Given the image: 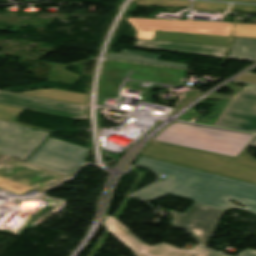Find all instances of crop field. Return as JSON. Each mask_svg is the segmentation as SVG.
<instances>
[{"label":"crop field","mask_w":256,"mask_h":256,"mask_svg":"<svg viewBox=\"0 0 256 256\" xmlns=\"http://www.w3.org/2000/svg\"><path fill=\"white\" fill-rule=\"evenodd\" d=\"M137 39L153 40L156 30L229 36L232 23L127 18Z\"/></svg>","instance_id":"obj_7"},{"label":"crop field","mask_w":256,"mask_h":256,"mask_svg":"<svg viewBox=\"0 0 256 256\" xmlns=\"http://www.w3.org/2000/svg\"><path fill=\"white\" fill-rule=\"evenodd\" d=\"M249 145L256 146V139L253 142H251Z\"/></svg>","instance_id":"obj_25"},{"label":"crop field","mask_w":256,"mask_h":256,"mask_svg":"<svg viewBox=\"0 0 256 256\" xmlns=\"http://www.w3.org/2000/svg\"><path fill=\"white\" fill-rule=\"evenodd\" d=\"M190 1L177 0H137L131 4H146V5H172V6H189Z\"/></svg>","instance_id":"obj_19"},{"label":"crop field","mask_w":256,"mask_h":256,"mask_svg":"<svg viewBox=\"0 0 256 256\" xmlns=\"http://www.w3.org/2000/svg\"><path fill=\"white\" fill-rule=\"evenodd\" d=\"M49 135L48 132L0 120V153L25 160Z\"/></svg>","instance_id":"obj_9"},{"label":"crop field","mask_w":256,"mask_h":256,"mask_svg":"<svg viewBox=\"0 0 256 256\" xmlns=\"http://www.w3.org/2000/svg\"><path fill=\"white\" fill-rule=\"evenodd\" d=\"M62 65H54L48 81L72 84L79 76L63 69Z\"/></svg>","instance_id":"obj_17"},{"label":"crop field","mask_w":256,"mask_h":256,"mask_svg":"<svg viewBox=\"0 0 256 256\" xmlns=\"http://www.w3.org/2000/svg\"><path fill=\"white\" fill-rule=\"evenodd\" d=\"M226 86L234 90L232 95L213 93L207 97L230 100L214 125L256 132V86L248 85L246 88H238L230 84Z\"/></svg>","instance_id":"obj_5"},{"label":"crop field","mask_w":256,"mask_h":256,"mask_svg":"<svg viewBox=\"0 0 256 256\" xmlns=\"http://www.w3.org/2000/svg\"><path fill=\"white\" fill-rule=\"evenodd\" d=\"M87 154L86 148L50 137L26 162L72 176Z\"/></svg>","instance_id":"obj_6"},{"label":"crop field","mask_w":256,"mask_h":256,"mask_svg":"<svg viewBox=\"0 0 256 256\" xmlns=\"http://www.w3.org/2000/svg\"><path fill=\"white\" fill-rule=\"evenodd\" d=\"M24 94L34 95L39 97L51 98L78 104H87L88 95L56 90V89H39L34 91L23 92Z\"/></svg>","instance_id":"obj_16"},{"label":"crop field","mask_w":256,"mask_h":256,"mask_svg":"<svg viewBox=\"0 0 256 256\" xmlns=\"http://www.w3.org/2000/svg\"><path fill=\"white\" fill-rule=\"evenodd\" d=\"M103 226L132 249L136 256H225L199 246L191 250H181L165 243L151 247L110 216H107Z\"/></svg>","instance_id":"obj_8"},{"label":"crop field","mask_w":256,"mask_h":256,"mask_svg":"<svg viewBox=\"0 0 256 256\" xmlns=\"http://www.w3.org/2000/svg\"><path fill=\"white\" fill-rule=\"evenodd\" d=\"M236 80L256 84V74L247 73Z\"/></svg>","instance_id":"obj_22"},{"label":"crop field","mask_w":256,"mask_h":256,"mask_svg":"<svg viewBox=\"0 0 256 256\" xmlns=\"http://www.w3.org/2000/svg\"><path fill=\"white\" fill-rule=\"evenodd\" d=\"M107 58L114 59V60H122V61H131V62H139V63H148V64H156V65H164V66H172V67H181L187 68L188 65L167 62V61H158L161 56L147 54V53H140L128 50H121L119 55L115 54H107Z\"/></svg>","instance_id":"obj_14"},{"label":"crop field","mask_w":256,"mask_h":256,"mask_svg":"<svg viewBox=\"0 0 256 256\" xmlns=\"http://www.w3.org/2000/svg\"><path fill=\"white\" fill-rule=\"evenodd\" d=\"M136 164L149 167L160 174L167 175L156 185L136 195L148 201L172 194L193 199L220 210L238 208L256 213V186L207 174L204 172L148 159L140 158ZM236 200L247 208L232 205L228 200Z\"/></svg>","instance_id":"obj_1"},{"label":"crop field","mask_w":256,"mask_h":256,"mask_svg":"<svg viewBox=\"0 0 256 256\" xmlns=\"http://www.w3.org/2000/svg\"><path fill=\"white\" fill-rule=\"evenodd\" d=\"M136 47L160 49L167 51L191 53L205 56H213L223 58L227 47L223 46H212V45H202V44H191V43H180V42H170V41H144L138 40L134 44Z\"/></svg>","instance_id":"obj_12"},{"label":"crop field","mask_w":256,"mask_h":256,"mask_svg":"<svg viewBox=\"0 0 256 256\" xmlns=\"http://www.w3.org/2000/svg\"><path fill=\"white\" fill-rule=\"evenodd\" d=\"M140 155L256 183V162L151 140Z\"/></svg>","instance_id":"obj_2"},{"label":"crop field","mask_w":256,"mask_h":256,"mask_svg":"<svg viewBox=\"0 0 256 256\" xmlns=\"http://www.w3.org/2000/svg\"><path fill=\"white\" fill-rule=\"evenodd\" d=\"M231 11L256 13V6L232 5Z\"/></svg>","instance_id":"obj_21"},{"label":"crop field","mask_w":256,"mask_h":256,"mask_svg":"<svg viewBox=\"0 0 256 256\" xmlns=\"http://www.w3.org/2000/svg\"><path fill=\"white\" fill-rule=\"evenodd\" d=\"M0 103L66 117L88 119L87 106L33 97L20 93L0 91Z\"/></svg>","instance_id":"obj_11"},{"label":"crop field","mask_w":256,"mask_h":256,"mask_svg":"<svg viewBox=\"0 0 256 256\" xmlns=\"http://www.w3.org/2000/svg\"><path fill=\"white\" fill-rule=\"evenodd\" d=\"M67 179L69 178L11 158L0 164V188L19 195L31 188L44 192Z\"/></svg>","instance_id":"obj_4"},{"label":"crop field","mask_w":256,"mask_h":256,"mask_svg":"<svg viewBox=\"0 0 256 256\" xmlns=\"http://www.w3.org/2000/svg\"><path fill=\"white\" fill-rule=\"evenodd\" d=\"M154 39L212 44V45H223V46H228L230 41L229 37H223V36H210V35H198V34L162 32V31H157Z\"/></svg>","instance_id":"obj_13"},{"label":"crop field","mask_w":256,"mask_h":256,"mask_svg":"<svg viewBox=\"0 0 256 256\" xmlns=\"http://www.w3.org/2000/svg\"><path fill=\"white\" fill-rule=\"evenodd\" d=\"M232 36L256 38V24L236 23Z\"/></svg>","instance_id":"obj_18"},{"label":"crop field","mask_w":256,"mask_h":256,"mask_svg":"<svg viewBox=\"0 0 256 256\" xmlns=\"http://www.w3.org/2000/svg\"><path fill=\"white\" fill-rule=\"evenodd\" d=\"M7 159H8V157H4V156H1V155H0V163L3 162V161H5V160H7Z\"/></svg>","instance_id":"obj_24"},{"label":"crop field","mask_w":256,"mask_h":256,"mask_svg":"<svg viewBox=\"0 0 256 256\" xmlns=\"http://www.w3.org/2000/svg\"><path fill=\"white\" fill-rule=\"evenodd\" d=\"M22 110V108L0 104V119L12 122Z\"/></svg>","instance_id":"obj_20"},{"label":"crop field","mask_w":256,"mask_h":256,"mask_svg":"<svg viewBox=\"0 0 256 256\" xmlns=\"http://www.w3.org/2000/svg\"><path fill=\"white\" fill-rule=\"evenodd\" d=\"M239 256H256V251L251 249H246Z\"/></svg>","instance_id":"obj_23"},{"label":"crop field","mask_w":256,"mask_h":256,"mask_svg":"<svg viewBox=\"0 0 256 256\" xmlns=\"http://www.w3.org/2000/svg\"><path fill=\"white\" fill-rule=\"evenodd\" d=\"M253 138L254 135L174 122L153 139L236 157Z\"/></svg>","instance_id":"obj_3"},{"label":"crop field","mask_w":256,"mask_h":256,"mask_svg":"<svg viewBox=\"0 0 256 256\" xmlns=\"http://www.w3.org/2000/svg\"><path fill=\"white\" fill-rule=\"evenodd\" d=\"M242 1H254V2H256V0H242Z\"/></svg>","instance_id":"obj_26"},{"label":"crop field","mask_w":256,"mask_h":256,"mask_svg":"<svg viewBox=\"0 0 256 256\" xmlns=\"http://www.w3.org/2000/svg\"><path fill=\"white\" fill-rule=\"evenodd\" d=\"M227 58L256 61V40L235 38Z\"/></svg>","instance_id":"obj_15"},{"label":"crop field","mask_w":256,"mask_h":256,"mask_svg":"<svg viewBox=\"0 0 256 256\" xmlns=\"http://www.w3.org/2000/svg\"><path fill=\"white\" fill-rule=\"evenodd\" d=\"M225 212L194 203L184 213L171 210L173 225L191 230L208 247Z\"/></svg>","instance_id":"obj_10"}]
</instances>
